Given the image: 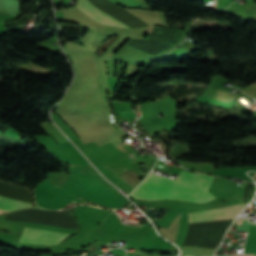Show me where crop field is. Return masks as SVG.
<instances>
[{"label": "crop field", "mask_w": 256, "mask_h": 256, "mask_svg": "<svg viewBox=\"0 0 256 256\" xmlns=\"http://www.w3.org/2000/svg\"><path fill=\"white\" fill-rule=\"evenodd\" d=\"M213 177L181 170L176 181L149 175L131 194L135 199L172 198L184 201L207 202L215 199L207 192Z\"/></svg>", "instance_id": "obj_1"}, {"label": "crop field", "mask_w": 256, "mask_h": 256, "mask_svg": "<svg viewBox=\"0 0 256 256\" xmlns=\"http://www.w3.org/2000/svg\"><path fill=\"white\" fill-rule=\"evenodd\" d=\"M245 206L246 204H235L224 208L189 213V223L236 218Z\"/></svg>", "instance_id": "obj_2"}, {"label": "crop field", "mask_w": 256, "mask_h": 256, "mask_svg": "<svg viewBox=\"0 0 256 256\" xmlns=\"http://www.w3.org/2000/svg\"><path fill=\"white\" fill-rule=\"evenodd\" d=\"M76 6H78L83 13L89 15L90 17H92L94 20H96L101 24L122 27V28H129L123 23L119 22L118 20L102 12L92 3L91 0H77Z\"/></svg>", "instance_id": "obj_3"}, {"label": "crop field", "mask_w": 256, "mask_h": 256, "mask_svg": "<svg viewBox=\"0 0 256 256\" xmlns=\"http://www.w3.org/2000/svg\"><path fill=\"white\" fill-rule=\"evenodd\" d=\"M67 236L69 235H63V234L25 228L20 241L38 243V244L56 245Z\"/></svg>", "instance_id": "obj_4"}, {"label": "crop field", "mask_w": 256, "mask_h": 256, "mask_svg": "<svg viewBox=\"0 0 256 256\" xmlns=\"http://www.w3.org/2000/svg\"><path fill=\"white\" fill-rule=\"evenodd\" d=\"M28 207H31L30 202L0 195V209L2 210L12 211V210L28 208Z\"/></svg>", "instance_id": "obj_5"}, {"label": "crop field", "mask_w": 256, "mask_h": 256, "mask_svg": "<svg viewBox=\"0 0 256 256\" xmlns=\"http://www.w3.org/2000/svg\"><path fill=\"white\" fill-rule=\"evenodd\" d=\"M119 177H121L124 181H126L133 187L136 185V183L139 180L136 173L133 170L126 172L124 174H121L119 175Z\"/></svg>", "instance_id": "obj_6"}, {"label": "crop field", "mask_w": 256, "mask_h": 256, "mask_svg": "<svg viewBox=\"0 0 256 256\" xmlns=\"http://www.w3.org/2000/svg\"><path fill=\"white\" fill-rule=\"evenodd\" d=\"M242 219H243V218H239V219L236 221V223H237L238 225H240V224H241ZM243 220H244V219H243Z\"/></svg>", "instance_id": "obj_7"}, {"label": "crop field", "mask_w": 256, "mask_h": 256, "mask_svg": "<svg viewBox=\"0 0 256 256\" xmlns=\"http://www.w3.org/2000/svg\"><path fill=\"white\" fill-rule=\"evenodd\" d=\"M235 256H252V255H235Z\"/></svg>", "instance_id": "obj_8"}, {"label": "crop field", "mask_w": 256, "mask_h": 256, "mask_svg": "<svg viewBox=\"0 0 256 256\" xmlns=\"http://www.w3.org/2000/svg\"><path fill=\"white\" fill-rule=\"evenodd\" d=\"M254 179L256 178V174H255V176L253 177Z\"/></svg>", "instance_id": "obj_9"}]
</instances>
